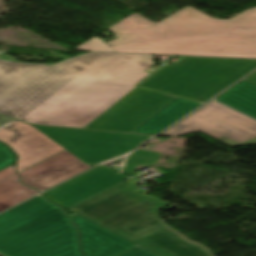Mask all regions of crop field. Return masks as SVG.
<instances>
[{"instance_id":"dd49c442","label":"crop field","mask_w":256,"mask_h":256,"mask_svg":"<svg viewBox=\"0 0 256 256\" xmlns=\"http://www.w3.org/2000/svg\"><path fill=\"white\" fill-rule=\"evenodd\" d=\"M53 141L87 164L121 163L124 156L151 138L149 135L36 126Z\"/></svg>"},{"instance_id":"5142ce71","label":"crop field","mask_w":256,"mask_h":256,"mask_svg":"<svg viewBox=\"0 0 256 256\" xmlns=\"http://www.w3.org/2000/svg\"><path fill=\"white\" fill-rule=\"evenodd\" d=\"M215 99L256 118V86L245 80Z\"/></svg>"},{"instance_id":"f4fd0767","label":"crop field","mask_w":256,"mask_h":256,"mask_svg":"<svg viewBox=\"0 0 256 256\" xmlns=\"http://www.w3.org/2000/svg\"><path fill=\"white\" fill-rule=\"evenodd\" d=\"M168 205L135 194L122 183L70 210L132 239L162 224L158 211Z\"/></svg>"},{"instance_id":"22f410ed","label":"crop field","mask_w":256,"mask_h":256,"mask_svg":"<svg viewBox=\"0 0 256 256\" xmlns=\"http://www.w3.org/2000/svg\"><path fill=\"white\" fill-rule=\"evenodd\" d=\"M132 241L162 256H211L204 247L187 241L164 224Z\"/></svg>"},{"instance_id":"733c2abd","label":"crop field","mask_w":256,"mask_h":256,"mask_svg":"<svg viewBox=\"0 0 256 256\" xmlns=\"http://www.w3.org/2000/svg\"><path fill=\"white\" fill-rule=\"evenodd\" d=\"M160 156L159 152L137 150L128 156L122 171L128 176H132L137 165H155Z\"/></svg>"},{"instance_id":"e52e79f7","label":"crop field","mask_w":256,"mask_h":256,"mask_svg":"<svg viewBox=\"0 0 256 256\" xmlns=\"http://www.w3.org/2000/svg\"><path fill=\"white\" fill-rule=\"evenodd\" d=\"M197 131L231 147L256 145V120L214 101L162 135L177 137Z\"/></svg>"},{"instance_id":"34b2d1b8","label":"crop field","mask_w":256,"mask_h":256,"mask_svg":"<svg viewBox=\"0 0 256 256\" xmlns=\"http://www.w3.org/2000/svg\"><path fill=\"white\" fill-rule=\"evenodd\" d=\"M3 256H83L64 210L40 195L0 215Z\"/></svg>"},{"instance_id":"214f88e0","label":"crop field","mask_w":256,"mask_h":256,"mask_svg":"<svg viewBox=\"0 0 256 256\" xmlns=\"http://www.w3.org/2000/svg\"><path fill=\"white\" fill-rule=\"evenodd\" d=\"M120 256H159L143 247H136Z\"/></svg>"},{"instance_id":"00972430","label":"crop field","mask_w":256,"mask_h":256,"mask_svg":"<svg viewBox=\"0 0 256 256\" xmlns=\"http://www.w3.org/2000/svg\"><path fill=\"white\" fill-rule=\"evenodd\" d=\"M245 80H247V81L256 85V71L252 75L247 77Z\"/></svg>"},{"instance_id":"4a817a6b","label":"crop field","mask_w":256,"mask_h":256,"mask_svg":"<svg viewBox=\"0 0 256 256\" xmlns=\"http://www.w3.org/2000/svg\"><path fill=\"white\" fill-rule=\"evenodd\" d=\"M79 51H107V52H115L111 49L108 45L103 43L98 38H93L86 43L80 45L79 47L75 48Z\"/></svg>"},{"instance_id":"ac0d7876","label":"crop field","mask_w":256,"mask_h":256,"mask_svg":"<svg viewBox=\"0 0 256 256\" xmlns=\"http://www.w3.org/2000/svg\"><path fill=\"white\" fill-rule=\"evenodd\" d=\"M108 30L120 38L107 43L124 53L256 59V8L220 20L188 6L157 24L133 14Z\"/></svg>"},{"instance_id":"cbeb9de0","label":"crop field","mask_w":256,"mask_h":256,"mask_svg":"<svg viewBox=\"0 0 256 256\" xmlns=\"http://www.w3.org/2000/svg\"><path fill=\"white\" fill-rule=\"evenodd\" d=\"M199 105V103L176 98L152 115L132 132L156 135Z\"/></svg>"},{"instance_id":"5a996713","label":"crop field","mask_w":256,"mask_h":256,"mask_svg":"<svg viewBox=\"0 0 256 256\" xmlns=\"http://www.w3.org/2000/svg\"><path fill=\"white\" fill-rule=\"evenodd\" d=\"M0 140L19 155L17 172L65 150L36 128L19 121L1 128Z\"/></svg>"},{"instance_id":"bc2a9ffb","label":"crop field","mask_w":256,"mask_h":256,"mask_svg":"<svg viewBox=\"0 0 256 256\" xmlns=\"http://www.w3.org/2000/svg\"><path fill=\"white\" fill-rule=\"evenodd\" d=\"M15 158L14 153L4 144L0 143V170L13 164Z\"/></svg>"},{"instance_id":"412701ff","label":"crop field","mask_w":256,"mask_h":256,"mask_svg":"<svg viewBox=\"0 0 256 256\" xmlns=\"http://www.w3.org/2000/svg\"><path fill=\"white\" fill-rule=\"evenodd\" d=\"M256 68L255 60L189 57L166 65L140 87L204 102Z\"/></svg>"},{"instance_id":"a9b5d70f","label":"crop field","mask_w":256,"mask_h":256,"mask_svg":"<svg viewBox=\"0 0 256 256\" xmlns=\"http://www.w3.org/2000/svg\"><path fill=\"white\" fill-rule=\"evenodd\" d=\"M0 59H3V60H11V61H16V62H18L17 60H15L14 58H12V57H8V56H0Z\"/></svg>"},{"instance_id":"d1516ede","label":"crop field","mask_w":256,"mask_h":256,"mask_svg":"<svg viewBox=\"0 0 256 256\" xmlns=\"http://www.w3.org/2000/svg\"><path fill=\"white\" fill-rule=\"evenodd\" d=\"M70 216L81 231L85 256H117L137 246L75 213Z\"/></svg>"},{"instance_id":"d9b57169","label":"crop field","mask_w":256,"mask_h":256,"mask_svg":"<svg viewBox=\"0 0 256 256\" xmlns=\"http://www.w3.org/2000/svg\"><path fill=\"white\" fill-rule=\"evenodd\" d=\"M20 177L15 174L0 182V212L38 194L29 187L19 183Z\"/></svg>"},{"instance_id":"8a807250","label":"crop field","mask_w":256,"mask_h":256,"mask_svg":"<svg viewBox=\"0 0 256 256\" xmlns=\"http://www.w3.org/2000/svg\"><path fill=\"white\" fill-rule=\"evenodd\" d=\"M152 58L92 53L54 66L0 60V114L29 124L84 128L136 88Z\"/></svg>"},{"instance_id":"28ad6ade","label":"crop field","mask_w":256,"mask_h":256,"mask_svg":"<svg viewBox=\"0 0 256 256\" xmlns=\"http://www.w3.org/2000/svg\"><path fill=\"white\" fill-rule=\"evenodd\" d=\"M91 168L79 158L65 150L18 174L21 182L40 192Z\"/></svg>"},{"instance_id":"3316defc","label":"crop field","mask_w":256,"mask_h":256,"mask_svg":"<svg viewBox=\"0 0 256 256\" xmlns=\"http://www.w3.org/2000/svg\"><path fill=\"white\" fill-rule=\"evenodd\" d=\"M123 181L125 176L99 166L45 193V196L69 209Z\"/></svg>"},{"instance_id":"d8731c3e","label":"crop field","mask_w":256,"mask_h":256,"mask_svg":"<svg viewBox=\"0 0 256 256\" xmlns=\"http://www.w3.org/2000/svg\"><path fill=\"white\" fill-rule=\"evenodd\" d=\"M173 98L136 88L85 128L130 132Z\"/></svg>"},{"instance_id":"92a150f3","label":"crop field","mask_w":256,"mask_h":256,"mask_svg":"<svg viewBox=\"0 0 256 256\" xmlns=\"http://www.w3.org/2000/svg\"><path fill=\"white\" fill-rule=\"evenodd\" d=\"M14 166L0 172V181L16 173L14 172Z\"/></svg>"},{"instance_id":"dafd665d","label":"crop field","mask_w":256,"mask_h":256,"mask_svg":"<svg viewBox=\"0 0 256 256\" xmlns=\"http://www.w3.org/2000/svg\"><path fill=\"white\" fill-rule=\"evenodd\" d=\"M13 121H16V120L0 116V127L5 126Z\"/></svg>"}]
</instances>
